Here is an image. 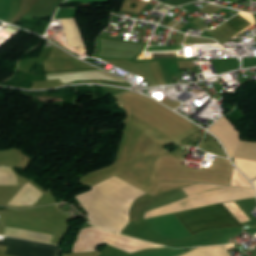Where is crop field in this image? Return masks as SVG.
<instances>
[{
	"label": "crop field",
	"instance_id": "obj_1",
	"mask_svg": "<svg viewBox=\"0 0 256 256\" xmlns=\"http://www.w3.org/2000/svg\"><path fill=\"white\" fill-rule=\"evenodd\" d=\"M193 235L201 230L242 226L222 205H211L175 214Z\"/></svg>",
	"mask_w": 256,
	"mask_h": 256
},
{
	"label": "crop field",
	"instance_id": "obj_5",
	"mask_svg": "<svg viewBox=\"0 0 256 256\" xmlns=\"http://www.w3.org/2000/svg\"><path fill=\"white\" fill-rule=\"evenodd\" d=\"M159 1L163 2L164 0H159Z\"/></svg>",
	"mask_w": 256,
	"mask_h": 256
},
{
	"label": "crop field",
	"instance_id": "obj_2",
	"mask_svg": "<svg viewBox=\"0 0 256 256\" xmlns=\"http://www.w3.org/2000/svg\"><path fill=\"white\" fill-rule=\"evenodd\" d=\"M0 245L7 246L5 254L13 256H57L59 248L52 245L4 237Z\"/></svg>",
	"mask_w": 256,
	"mask_h": 256
},
{
	"label": "crop field",
	"instance_id": "obj_3",
	"mask_svg": "<svg viewBox=\"0 0 256 256\" xmlns=\"http://www.w3.org/2000/svg\"><path fill=\"white\" fill-rule=\"evenodd\" d=\"M182 50V46L148 47L146 51H175Z\"/></svg>",
	"mask_w": 256,
	"mask_h": 256
},
{
	"label": "crop field",
	"instance_id": "obj_4",
	"mask_svg": "<svg viewBox=\"0 0 256 256\" xmlns=\"http://www.w3.org/2000/svg\"><path fill=\"white\" fill-rule=\"evenodd\" d=\"M238 15H240V14H238ZM240 16H241L242 18H244L242 15H240ZM244 19L247 20L246 18H244ZM247 21H248V20H247ZM248 22L251 23L250 21H248ZM251 24H252V23H251ZM252 25H254V24H252ZM252 25H251V26H252ZM251 26H249V27H251ZM249 27H248V28H249ZM248 28H247V29H248ZM245 30H246V29H245ZM243 31H244V30H243ZM241 32H242V31H241ZM239 33H240V32H239ZM237 34H238V33H237Z\"/></svg>",
	"mask_w": 256,
	"mask_h": 256
}]
</instances>
